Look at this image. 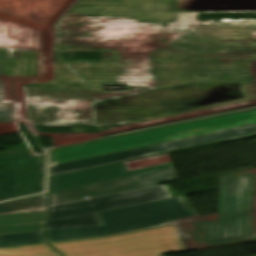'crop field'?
Listing matches in <instances>:
<instances>
[{"instance_id":"obj_1","label":"crop field","mask_w":256,"mask_h":256,"mask_svg":"<svg viewBox=\"0 0 256 256\" xmlns=\"http://www.w3.org/2000/svg\"><path fill=\"white\" fill-rule=\"evenodd\" d=\"M246 207L247 171L219 177V215L50 244L65 256H163L178 252L168 235L175 232L188 250L242 244Z\"/></svg>"},{"instance_id":"obj_2","label":"crop field","mask_w":256,"mask_h":256,"mask_svg":"<svg viewBox=\"0 0 256 256\" xmlns=\"http://www.w3.org/2000/svg\"><path fill=\"white\" fill-rule=\"evenodd\" d=\"M251 124H256V110L55 150L52 152L51 165L109 153L121 152L147 145H155Z\"/></svg>"},{"instance_id":"obj_3","label":"crop field","mask_w":256,"mask_h":256,"mask_svg":"<svg viewBox=\"0 0 256 256\" xmlns=\"http://www.w3.org/2000/svg\"><path fill=\"white\" fill-rule=\"evenodd\" d=\"M103 226L46 232L49 242L107 235L148 228L161 222L195 215L170 198L97 213Z\"/></svg>"},{"instance_id":"obj_4","label":"crop field","mask_w":256,"mask_h":256,"mask_svg":"<svg viewBox=\"0 0 256 256\" xmlns=\"http://www.w3.org/2000/svg\"><path fill=\"white\" fill-rule=\"evenodd\" d=\"M170 197L165 185H161L93 200L52 206L46 231L102 225L96 212Z\"/></svg>"},{"instance_id":"obj_5","label":"crop field","mask_w":256,"mask_h":256,"mask_svg":"<svg viewBox=\"0 0 256 256\" xmlns=\"http://www.w3.org/2000/svg\"><path fill=\"white\" fill-rule=\"evenodd\" d=\"M44 167L31 147L0 152V200L42 191Z\"/></svg>"},{"instance_id":"obj_6","label":"crop field","mask_w":256,"mask_h":256,"mask_svg":"<svg viewBox=\"0 0 256 256\" xmlns=\"http://www.w3.org/2000/svg\"><path fill=\"white\" fill-rule=\"evenodd\" d=\"M254 133H256V125H251V126H246L242 128H237V129L217 132L213 134L188 138L184 140L164 143L160 145L147 146V147L125 151L121 153L109 154V155L99 156V157L90 158V159L57 164V165L51 166V175L112 164L116 162L140 158V157L154 155L158 153H163L170 150H176V149H181V148H186L191 146H197V145H202V144H207L212 142L228 140V139L250 135Z\"/></svg>"},{"instance_id":"obj_7","label":"crop field","mask_w":256,"mask_h":256,"mask_svg":"<svg viewBox=\"0 0 256 256\" xmlns=\"http://www.w3.org/2000/svg\"><path fill=\"white\" fill-rule=\"evenodd\" d=\"M172 167L51 193L50 206L154 186L176 179Z\"/></svg>"},{"instance_id":"obj_8","label":"crop field","mask_w":256,"mask_h":256,"mask_svg":"<svg viewBox=\"0 0 256 256\" xmlns=\"http://www.w3.org/2000/svg\"><path fill=\"white\" fill-rule=\"evenodd\" d=\"M172 166L171 163L127 172L125 163H118L51 177V192L101 182L119 177Z\"/></svg>"},{"instance_id":"obj_9","label":"crop field","mask_w":256,"mask_h":256,"mask_svg":"<svg viewBox=\"0 0 256 256\" xmlns=\"http://www.w3.org/2000/svg\"><path fill=\"white\" fill-rule=\"evenodd\" d=\"M46 209L0 216V235L43 231Z\"/></svg>"},{"instance_id":"obj_10","label":"crop field","mask_w":256,"mask_h":256,"mask_svg":"<svg viewBox=\"0 0 256 256\" xmlns=\"http://www.w3.org/2000/svg\"><path fill=\"white\" fill-rule=\"evenodd\" d=\"M0 256H61L46 243L0 248Z\"/></svg>"},{"instance_id":"obj_11","label":"crop field","mask_w":256,"mask_h":256,"mask_svg":"<svg viewBox=\"0 0 256 256\" xmlns=\"http://www.w3.org/2000/svg\"><path fill=\"white\" fill-rule=\"evenodd\" d=\"M47 194L0 203V213L46 207Z\"/></svg>"},{"instance_id":"obj_12","label":"crop field","mask_w":256,"mask_h":256,"mask_svg":"<svg viewBox=\"0 0 256 256\" xmlns=\"http://www.w3.org/2000/svg\"><path fill=\"white\" fill-rule=\"evenodd\" d=\"M44 242L43 232L0 236V247Z\"/></svg>"},{"instance_id":"obj_13","label":"crop field","mask_w":256,"mask_h":256,"mask_svg":"<svg viewBox=\"0 0 256 256\" xmlns=\"http://www.w3.org/2000/svg\"><path fill=\"white\" fill-rule=\"evenodd\" d=\"M0 123H18L15 104H0Z\"/></svg>"},{"instance_id":"obj_14","label":"crop field","mask_w":256,"mask_h":256,"mask_svg":"<svg viewBox=\"0 0 256 256\" xmlns=\"http://www.w3.org/2000/svg\"><path fill=\"white\" fill-rule=\"evenodd\" d=\"M252 170L248 171L247 243L251 242Z\"/></svg>"},{"instance_id":"obj_15","label":"crop field","mask_w":256,"mask_h":256,"mask_svg":"<svg viewBox=\"0 0 256 256\" xmlns=\"http://www.w3.org/2000/svg\"><path fill=\"white\" fill-rule=\"evenodd\" d=\"M170 237L173 240V242L175 243V245L178 248L179 252L187 250V248L185 247V245L183 244L182 240L180 239V237L178 236L177 233L171 234Z\"/></svg>"},{"instance_id":"obj_16","label":"crop field","mask_w":256,"mask_h":256,"mask_svg":"<svg viewBox=\"0 0 256 256\" xmlns=\"http://www.w3.org/2000/svg\"><path fill=\"white\" fill-rule=\"evenodd\" d=\"M0 103H5L2 80H0Z\"/></svg>"},{"instance_id":"obj_17","label":"crop field","mask_w":256,"mask_h":256,"mask_svg":"<svg viewBox=\"0 0 256 256\" xmlns=\"http://www.w3.org/2000/svg\"><path fill=\"white\" fill-rule=\"evenodd\" d=\"M41 209H43V208H41ZM7 214V213H6ZM1 215V214H0Z\"/></svg>"}]
</instances>
